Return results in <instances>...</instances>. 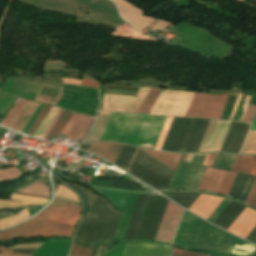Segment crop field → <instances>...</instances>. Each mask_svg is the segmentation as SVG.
I'll return each mask as SVG.
<instances>
[{"label":"crop field","instance_id":"8a807250","mask_svg":"<svg viewBox=\"0 0 256 256\" xmlns=\"http://www.w3.org/2000/svg\"><path fill=\"white\" fill-rule=\"evenodd\" d=\"M80 216L75 202L55 197L54 202L31 220L0 231V240L38 236H70Z\"/></svg>","mask_w":256,"mask_h":256},{"label":"crop field","instance_id":"ac0d7876","mask_svg":"<svg viewBox=\"0 0 256 256\" xmlns=\"http://www.w3.org/2000/svg\"><path fill=\"white\" fill-rule=\"evenodd\" d=\"M75 189L85 202V212L74 239L86 244L112 242L122 217V212L111 209L107 201L76 184L63 182Z\"/></svg>","mask_w":256,"mask_h":256},{"label":"crop field","instance_id":"34b2d1b8","mask_svg":"<svg viewBox=\"0 0 256 256\" xmlns=\"http://www.w3.org/2000/svg\"><path fill=\"white\" fill-rule=\"evenodd\" d=\"M166 117L111 112L100 140L153 148Z\"/></svg>","mask_w":256,"mask_h":256},{"label":"crop field","instance_id":"412701ff","mask_svg":"<svg viewBox=\"0 0 256 256\" xmlns=\"http://www.w3.org/2000/svg\"><path fill=\"white\" fill-rule=\"evenodd\" d=\"M233 236L197 219L187 249L227 255Z\"/></svg>","mask_w":256,"mask_h":256},{"label":"crop field","instance_id":"f4fd0767","mask_svg":"<svg viewBox=\"0 0 256 256\" xmlns=\"http://www.w3.org/2000/svg\"><path fill=\"white\" fill-rule=\"evenodd\" d=\"M228 95L195 93L184 116L220 119Z\"/></svg>","mask_w":256,"mask_h":256},{"label":"crop field","instance_id":"dd49c442","mask_svg":"<svg viewBox=\"0 0 256 256\" xmlns=\"http://www.w3.org/2000/svg\"><path fill=\"white\" fill-rule=\"evenodd\" d=\"M193 94L162 89L149 114L183 116Z\"/></svg>","mask_w":256,"mask_h":256},{"label":"crop field","instance_id":"e52e79f7","mask_svg":"<svg viewBox=\"0 0 256 256\" xmlns=\"http://www.w3.org/2000/svg\"><path fill=\"white\" fill-rule=\"evenodd\" d=\"M149 88L140 87L136 97L104 94L100 110L137 113Z\"/></svg>","mask_w":256,"mask_h":256},{"label":"crop field","instance_id":"d8731c3e","mask_svg":"<svg viewBox=\"0 0 256 256\" xmlns=\"http://www.w3.org/2000/svg\"><path fill=\"white\" fill-rule=\"evenodd\" d=\"M206 168L182 162L170 189H197Z\"/></svg>","mask_w":256,"mask_h":256},{"label":"crop field","instance_id":"5a996713","mask_svg":"<svg viewBox=\"0 0 256 256\" xmlns=\"http://www.w3.org/2000/svg\"><path fill=\"white\" fill-rule=\"evenodd\" d=\"M209 121L191 119L177 152L197 151Z\"/></svg>","mask_w":256,"mask_h":256},{"label":"crop field","instance_id":"3316defc","mask_svg":"<svg viewBox=\"0 0 256 256\" xmlns=\"http://www.w3.org/2000/svg\"><path fill=\"white\" fill-rule=\"evenodd\" d=\"M183 209L168 201L163 219L161 221L155 240L172 242Z\"/></svg>","mask_w":256,"mask_h":256},{"label":"crop field","instance_id":"28ad6ade","mask_svg":"<svg viewBox=\"0 0 256 256\" xmlns=\"http://www.w3.org/2000/svg\"><path fill=\"white\" fill-rule=\"evenodd\" d=\"M230 123L211 120L198 151H219Z\"/></svg>","mask_w":256,"mask_h":256},{"label":"crop field","instance_id":"d1516ede","mask_svg":"<svg viewBox=\"0 0 256 256\" xmlns=\"http://www.w3.org/2000/svg\"><path fill=\"white\" fill-rule=\"evenodd\" d=\"M169 249L170 246L164 243H126L123 256H169Z\"/></svg>","mask_w":256,"mask_h":256},{"label":"crop field","instance_id":"22f410ed","mask_svg":"<svg viewBox=\"0 0 256 256\" xmlns=\"http://www.w3.org/2000/svg\"><path fill=\"white\" fill-rule=\"evenodd\" d=\"M118 5L121 16L130 24L141 30L146 28L153 20L141 16L144 12L138 10L125 0H113Z\"/></svg>","mask_w":256,"mask_h":256},{"label":"crop field","instance_id":"cbeb9de0","mask_svg":"<svg viewBox=\"0 0 256 256\" xmlns=\"http://www.w3.org/2000/svg\"><path fill=\"white\" fill-rule=\"evenodd\" d=\"M249 125L232 122L220 151L238 153Z\"/></svg>","mask_w":256,"mask_h":256},{"label":"crop field","instance_id":"5142ce71","mask_svg":"<svg viewBox=\"0 0 256 256\" xmlns=\"http://www.w3.org/2000/svg\"><path fill=\"white\" fill-rule=\"evenodd\" d=\"M255 226L256 212L246 208L227 231L245 239Z\"/></svg>","mask_w":256,"mask_h":256},{"label":"crop field","instance_id":"d9b57169","mask_svg":"<svg viewBox=\"0 0 256 256\" xmlns=\"http://www.w3.org/2000/svg\"><path fill=\"white\" fill-rule=\"evenodd\" d=\"M123 146L114 143H96L91 144L88 151L116 163Z\"/></svg>","mask_w":256,"mask_h":256},{"label":"crop field","instance_id":"733c2abd","mask_svg":"<svg viewBox=\"0 0 256 256\" xmlns=\"http://www.w3.org/2000/svg\"><path fill=\"white\" fill-rule=\"evenodd\" d=\"M221 200L222 198L201 195L189 210L206 219Z\"/></svg>","mask_w":256,"mask_h":256},{"label":"crop field","instance_id":"4a817a6b","mask_svg":"<svg viewBox=\"0 0 256 256\" xmlns=\"http://www.w3.org/2000/svg\"><path fill=\"white\" fill-rule=\"evenodd\" d=\"M244 209L245 207L231 202L213 224L227 230Z\"/></svg>","mask_w":256,"mask_h":256},{"label":"crop field","instance_id":"bc2a9ffb","mask_svg":"<svg viewBox=\"0 0 256 256\" xmlns=\"http://www.w3.org/2000/svg\"><path fill=\"white\" fill-rule=\"evenodd\" d=\"M224 172L208 167L198 189L216 192Z\"/></svg>","mask_w":256,"mask_h":256},{"label":"crop field","instance_id":"214f88e0","mask_svg":"<svg viewBox=\"0 0 256 256\" xmlns=\"http://www.w3.org/2000/svg\"><path fill=\"white\" fill-rule=\"evenodd\" d=\"M38 105V102L27 100L19 114L12 122L10 128L22 132Z\"/></svg>","mask_w":256,"mask_h":256},{"label":"crop field","instance_id":"92a150f3","mask_svg":"<svg viewBox=\"0 0 256 256\" xmlns=\"http://www.w3.org/2000/svg\"><path fill=\"white\" fill-rule=\"evenodd\" d=\"M10 199H16L23 202L11 201V200H0V208L5 207H23L31 204H46L48 199L32 197L20 194H12Z\"/></svg>","mask_w":256,"mask_h":256},{"label":"crop field","instance_id":"dafd665d","mask_svg":"<svg viewBox=\"0 0 256 256\" xmlns=\"http://www.w3.org/2000/svg\"><path fill=\"white\" fill-rule=\"evenodd\" d=\"M141 149V148H140ZM144 152L148 153L164 165L168 166L172 170H175L178 161L182 154H174V153H168V152H161V151H154V150H148V149H141Z\"/></svg>","mask_w":256,"mask_h":256},{"label":"crop field","instance_id":"00972430","mask_svg":"<svg viewBox=\"0 0 256 256\" xmlns=\"http://www.w3.org/2000/svg\"><path fill=\"white\" fill-rule=\"evenodd\" d=\"M148 195H140L124 240H132Z\"/></svg>","mask_w":256,"mask_h":256},{"label":"crop field","instance_id":"a9b5d70f","mask_svg":"<svg viewBox=\"0 0 256 256\" xmlns=\"http://www.w3.org/2000/svg\"><path fill=\"white\" fill-rule=\"evenodd\" d=\"M87 117H88L87 115L81 114V116L79 117L78 121L72 128L67 138H70L76 141L78 137L83 138L85 136V134L88 132L93 121V120L87 119Z\"/></svg>","mask_w":256,"mask_h":256},{"label":"crop field","instance_id":"4177f3b9","mask_svg":"<svg viewBox=\"0 0 256 256\" xmlns=\"http://www.w3.org/2000/svg\"><path fill=\"white\" fill-rule=\"evenodd\" d=\"M256 247L234 238L229 254L237 256H250Z\"/></svg>","mask_w":256,"mask_h":256},{"label":"crop field","instance_id":"730fd06b","mask_svg":"<svg viewBox=\"0 0 256 256\" xmlns=\"http://www.w3.org/2000/svg\"><path fill=\"white\" fill-rule=\"evenodd\" d=\"M72 114H73L72 111H68V110L64 109V111L62 112L59 119L57 120V122L55 123L53 128L51 129V131L48 134V136L46 137V139L50 140L52 137L58 138V136L60 135L59 134L60 131L62 130L64 125L67 123V121L69 120V118L71 117Z\"/></svg>","mask_w":256,"mask_h":256},{"label":"crop field","instance_id":"eef30255","mask_svg":"<svg viewBox=\"0 0 256 256\" xmlns=\"http://www.w3.org/2000/svg\"><path fill=\"white\" fill-rule=\"evenodd\" d=\"M110 112H100L97 121L86 141L99 139Z\"/></svg>","mask_w":256,"mask_h":256},{"label":"crop field","instance_id":"ae1a2a85","mask_svg":"<svg viewBox=\"0 0 256 256\" xmlns=\"http://www.w3.org/2000/svg\"><path fill=\"white\" fill-rule=\"evenodd\" d=\"M17 192H23V193H29V194H35V195H41V196H47V197L50 196V189L38 179H36L35 182L31 184L29 187L19 190Z\"/></svg>","mask_w":256,"mask_h":256},{"label":"crop field","instance_id":"d3111659","mask_svg":"<svg viewBox=\"0 0 256 256\" xmlns=\"http://www.w3.org/2000/svg\"><path fill=\"white\" fill-rule=\"evenodd\" d=\"M173 200H175L180 205L190 208L191 205L197 200L200 196L199 194H164Z\"/></svg>","mask_w":256,"mask_h":256},{"label":"crop field","instance_id":"750c4746","mask_svg":"<svg viewBox=\"0 0 256 256\" xmlns=\"http://www.w3.org/2000/svg\"><path fill=\"white\" fill-rule=\"evenodd\" d=\"M109 197L114 206L124 209L130 194L115 193L109 191L97 190Z\"/></svg>","mask_w":256,"mask_h":256},{"label":"crop field","instance_id":"bd1437ed","mask_svg":"<svg viewBox=\"0 0 256 256\" xmlns=\"http://www.w3.org/2000/svg\"><path fill=\"white\" fill-rule=\"evenodd\" d=\"M161 89L150 88L145 100L143 101L138 113L148 114L150 108L152 107L154 101L159 95Z\"/></svg>","mask_w":256,"mask_h":256},{"label":"crop field","instance_id":"1d83c4d3","mask_svg":"<svg viewBox=\"0 0 256 256\" xmlns=\"http://www.w3.org/2000/svg\"><path fill=\"white\" fill-rule=\"evenodd\" d=\"M58 111H59V108L52 106V108L48 112L47 116L45 117V119L43 120L41 125L39 126L38 130L34 134L35 137L42 138V136L44 135L45 131L49 127L50 123L52 122V120L54 119V117L56 116Z\"/></svg>","mask_w":256,"mask_h":256},{"label":"crop field","instance_id":"120bbe31","mask_svg":"<svg viewBox=\"0 0 256 256\" xmlns=\"http://www.w3.org/2000/svg\"><path fill=\"white\" fill-rule=\"evenodd\" d=\"M236 175L237 174H235V173H231V172L226 171L217 192L227 195L231 186H232V183H233Z\"/></svg>","mask_w":256,"mask_h":256},{"label":"crop field","instance_id":"d32e631a","mask_svg":"<svg viewBox=\"0 0 256 256\" xmlns=\"http://www.w3.org/2000/svg\"><path fill=\"white\" fill-rule=\"evenodd\" d=\"M251 157L252 156L238 155L231 171L245 174L248 168L249 162L251 160Z\"/></svg>","mask_w":256,"mask_h":256},{"label":"crop field","instance_id":"5866460e","mask_svg":"<svg viewBox=\"0 0 256 256\" xmlns=\"http://www.w3.org/2000/svg\"><path fill=\"white\" fill-rule=\"evenodd\" d=\"M28 217H29V215H28L27 209L25 208L22 211H20V213L16 216L1 219L0 220V228L18 223Z\"/></svg>","mask_w":256,"mask_h":256},{"label":"crop field","instance_id":"028f5c9d","mask_svg":"<svg viewBox=\"0 0 256 256\" xmlns=\"http://www.w3.org/2000/svg\"><path fill=\"white\" fill-rule=\"evenodd\" d=\"M240 153H256V132H249Z\"/></svg>","mask_w":256,"mask_h":256},{"label":"crop field","instance_id":"e1f06a70","mask_svg":"<svg viewBox=\"0 0 256 256\" xmlns=\"http://www.w3.org/2000/svg\"><path fill=\"white\" fill-rule=\"evenodd\" d=\"M26 102V99L21 98L19 102L13 107V109L8 113V115L2 120L0 124L5 125L9 127L17 113L20 111L24 103ZM11 126V125H10Z\"/></svg>","mask_w":256,"mask_h":256},{"label":"crop field","instance_id":"0bd39190","mask_svg":"<svg viewBox=\"0 0 256 256\" xmlns=\"http://www.w3.org/2000/svg\"><path fill=\"white\" fill-rule=\"evenodd\" d=\"M50 108H51V105L45 104V106L41 110L40 114L38 115V117L36 118L34 123L32 124L31 128L27 132V135L33 136V134L37 130L38 126L40 125V123L42 122V120L44 119V117L46 116V114H47V112L49 111Z\"/></svg>","mask_w":256,"mask_h":256},{"label":"crop field","instance_id":"b80d0937","mask_svg":"<svg viewBox=\"0 0 256 256\" xmlns=\"http://www.w3.org/2000/svg\"><path fill=\"white\" fill-rule=\"evenodd\" d=\"M93 248L81 247L76 243H73L70 256H91Z\"/></svg>","mask_w":256,"mask_h":256},{"label":"crop field","instance_id":"c035e120","mask_svg":"<svg viewBox=\"0 0 256 256\" xmlns=\"http://www.w3.org/2000/svg\"><path fill=\"white\" fill-rule=\"evenodd\" d=\"M55 196L80 202L78 197L72 191L62 185H59Z\"/></svg>","mask_w":256,"mask_h":256},{"label":"crop field","instance_id":"c21b1889","mask_svg":"<svg viewBox=\"0 0 256 256\" xmlns=\"http://www.w3.org/2000/svg\"><path fill=\"white\" fill-rule=\"evenodd\" d=\"M173 117H167L154 148L160 149Z\"/></svg>","mask_w":256,"mask_h":256},{"label":"crop field","instance_id":"03da06ac","mask_svg":"<svg viewBox=\"0 0 256 256\" xmlns=\"http://www.w3.org/2000/svg\"><path fill=\"white\" fill-rule=\"evenodd\" d=\"M21 174L22 173L16 167L0 170V180L12 179Z\"/></svg>","mask_w":256,"mask_h":256},{"label":"crop field","instance_id":"b54c1fbb","mask_svg":"<svg viewBox=\"0 0 256 256\" xmlns=\"http://www.w3.org/2000/svg\"><path fill=\"white\" fill-rule=\"evenodd\" d=\"M111 187H115V188H125V189H135V190H145V189H142L140 187H137L133 184H130V183H126V182H122L120 181L119 184H115L113 183ZM147 191V190H146Z\"/></svg>","mask_w":256,"mask_h":256},{"label":"crop field","instance_id":"5d738f31","mask_svg":"<svg viewBox=\"0 0 256 256\" xmlns=\"http://www.w3.org/2000/svg\"><path fill=\"white\" fill-rule=\"evenodd\" d=\"M246 202L256 207V179Z\"/></svg>","mask_w":256,"mask_h":256},{"label":"crop field","instance_id":"d23c7cc5","mask_svg":"<svg viewBox=\"0 0 256 256\" xmlns=\"http://www.w3.org/2000/svg\"><path fill=\"white\" fill-rule=\"evenodd\" d=\"M79 116H80V113L77 114L74 112V114L72 115L71 119L69 120V122L67 123L66 127L64 128L61 134L67 135V133L69 132V130L71 129L73 124L76 122Z\"/></svg>","mask_w":256,"mask_h":256},{"label":"crop field","instance_id":"425ffa30","mask_svg":"<svg viewBox=\"0 0 256 256\" xmlns=\"http://www.w3.org/2000/svg\"><path fill=\"white\" fill-rule=\"evenodd\" d=\"M255 109H256V106L255 105H249V107H248V109H247V111H246V114H245V116H244V118H243V121L244 122H248V123H250V121H251V119H252V116H253V114H254V112H255Z\"/></svg>","mask_w":256,"mask_h":256},{"label":"crop field","instance_id":"25e5ab78","mask_svg":"<svg viewBox=\"0 0 256 256\" xmlns=\"http://www.w3.org/2000/svg\"><path fill=\"white\" fill-rule=\"evenodd\" d=\"M172 256H202V255L186 252L173 247Z\"/></svg>","mask_w":256,"mask_h":256},{"label":"crop field","instance_id":"73cf0c24","mask_svg":"<svg viewBox=\"0 0 256 256\" xmlns=\"http://www.w3.org/2000/svg\"><path fill=\"white\" fill-rule=\"evenodd\" d=\"M246 174L256 176V156L252 157V160L250 162V165Z\"/></svg>","mask_w":256,"mask_h":256},{"label":"crop field","instance_id":"89e229c0","mask_svg":"<svg viewBox=\"0 0 256 256\" xmlns=\"http://www.w3.org/2000/svg\"><path fill=\"white\" fill-rule=\"evenodd\" d=\"M0 251H1V256H32V255L11 253L12 251L11 249L4 248V247H0Z\"/></svg>","mask_w":256,"mask_h":256},{"label":"crop field","instance_id":"1f2cbd36","mask_svg":"<svg viewBox=\"0 0 256 256\" xmlns=\"http://www.w3.org/2000/svg\"><path fill=\"white\" fill-rule=\"evenodd\" d=\"M205 155L206 154H194L191 162L201 164Z\"/></svg>","mask_w":256,"mask_h":256},{"label":"crop field","instance_id":"dbb93151","mask_svg":"<svg viewBox=\"0 0 256 256\" xmlns=\"http://www.w3.org/2000/svg\"><path fill=\"white\" fill-rule=\"evenodd\" d=\"M167 22H164V21H161V20H158L155 24H154V26L151 28V30H155L156 28H158V29H163L164 27H166L167 26Z\"/></svg>","mask_w":256,"mask_h":256},{"label":"crop field","instance_id":"0fb4a251","mask_svg":"<svg viewBox=\"0 0 256 256\" xmlns=\"http://www.w3.org/2000/svg\"><path fill=\"white\" fill-rule=\"evenodd\" d=\"M81 85L97 87L98 83L93 79H82Z\"/></svg>","mask_w":256,"mask_h":256},{"label":"crop field","instance_id":"1d79db26","mask_svg":"<svg viewBox=\"0 0 256 256\" xmlns=\"http://www.w3.org/2000/svg\"><path fill=\"white\" fill-rule=\"evenodd\" d=\"M246 239L256 243V227L253 229V231L248 235Z\"/></svg>","mask_w":256,"mask_h":256},{"label":"crop field","instance_id":"9d1cf04e","mask_svg":"<svg viewBox=\"0 0 256 256\" xmlns=\"http://www.w3.org/2000/svg\"><path fill=\"white\" fill-rule=\"evenodd\" d=\"M241 95H242V94H239V95H238V98H237V100H236L235 106H234V108H233V111H232V114H231L229 120H232V119H233V116H234V114H235V111H236V108H237V106H238V103H239V100H240V98H241Z\"/></svg>","mask_w":256,"mask_h":256},{"label":"crop field","instance_id":"447ae74e","mask_svg":"<svg viewBox=\"0 0 256 256\" xmlns=\"http://www.w3.org/2000/svg\"><path fill=\"white\" fill-rule=\"evenodd\" d=\"M250 98H251V97H249V96H246V98H245V102H244V106H243L244 114H245V111H246V109H247V107H248V105H249ZM244 114H243V116H244ZM243 116H242V118H243ZM242 118H241V120H242ZM241 120H240V121H241ZM242 121H243V120H242Z\"/></svg>","mask_w":256,"mask_h":256},{"label":"crop field","instance_id":"0765c3eb","mask_svg":"<svg viewBox=\"0 0 256 256\" xmlns=\"http://www.w3.org/2000/svg\"><path fill=\"white\" fill-rule=\"evenodd\" d=\"M36 250H13V252L17 253H25V254H33Z\"/></svg>","mask_w":256,"mask_h":256},{"label":"crop field","instance_id":"db79e9e6","mask_svg":"<svg viewBox=\"0 0 256 256\" xmlns=\"http://www.w3.org/2000/svg\"><path fill=\"white\" fill-rule=\"evenodd\" d=\"M63 111V109H61V111L59 112V114L57 115V117L55 118V120L53 121V123L51 124V126L49 127V129L47 130V132L45 133V135L43 136V139H45V137L47 136V134L49 133L50 129L52 128V126L54 125V123L56 122V120L58 119L59 115L61 114V112Z\"/></svg>","mask_w":256,"mask_h":256},{"label":"crop field","instance_id":"7b73153f","mask_svg":"<svg viewBox=\"0 0 256 256\" xmlns=\"http://www.w3.org/2000/svg\"><path fill=\"white\" fill-rule=\"evenodd\" d=\"M215 155H216V154H211V155H210L209 160H208V162H207L206 165H209V166L212 165Z\"/></svg>","mask_w":256,"mask_h":256},{"label":"crop field","instance_id":"78b8030e","mask_svg":"<svg viewBox=\"0 0 256 256\" xmlns=\"http://www.w3.org/2000/svg\"><path fill=\"white\" fill-rule=\"evenodd\" d=\"M193 154H188L185 161L190 162Z\"/></svg>","mask_w":256,"mask_h":256},{"label":"crop field","instance_id":"0f1d7ab4","mask_svg":"<svg viewBox=\"0 0 256 256\" xmlns=\"http://www.w3.org/2000/svg\"><path fill=\"white\" fill-rule=\"evenodd\" d=\"M209 155H210V154H207V155H206V157H205V159H204V161H203V163H202V164H204V165L206 164V162H207V159H208Z\"/></svg>","mask_w":256,"mask_h":256},{"label":"crop field","instance_id":"e1d0b9f6","mask_svg":"<svg viewBox=\"0 0 256 256\" xmlns=\"http://www.w3.org/2000/svg\"><path fill=\"white\" fill-rule=\"evenodd\" d=\"M250 130H255L256 131V125L252 124Z\"/></svg>","mask_w":256,"mask_h":256},{"label":"crop field","instance_id":"ae633e8c","mask_svg":"<svg viewBox=\"0 0 256 256\" xmlns=\"http://www.w3.org/2000/svg\"><path fill=\"white\" fill-rule=\"evenodd\" d=\"M252 123L256 124V117L254 118V120H253V122H252Z\"/></svg>","mask_w":256,"mask_h":256},{"label":"crop field","instance_id":"d14b1444","mask_svg":"<svg viewBox=\"0 0 256 256\" xmlns=\"http://www.w3.org/2000/svg\"><path fill=\"white\" fill-rule=\"evenodd\" d=\"M186 155H187V154H184V156H183V159H182V160H185Z\"/></svg>","mask_w":256,"mask_h":256}]
</instances>
